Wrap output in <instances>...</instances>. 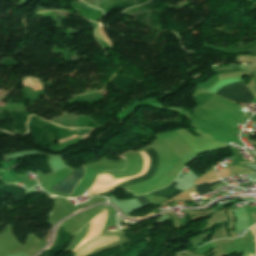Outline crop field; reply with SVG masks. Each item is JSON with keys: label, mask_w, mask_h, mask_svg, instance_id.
I'll return each instance as SVG.
<instances>
[{"label": "crop field", "mask_w": 256, "mask_h": 256, "mask_svg": "<svg viewBox=\"0 0 256 256\" xmlns=\"http://www.w3.org/2000/svg\"><path fill=\"white\" fill-rule=\"evenodd\" d=\"M83 174L84 168L77 169L71 175H69L67 178L61 181L59 184H57L56 186L54 185L55 187L51 189L69 195L70 192L73 190L74 186L83 177Z\"/></svg>", "instance_id": "crop-field-3"}, {"label": "crop field", "mask_w": 256, "mask_h": 256, "mask_svg": "<svg viewBox=\"0 0 256 256\" xmlns=\"http://www.w3.org/2000/svg\"><path fill=\"white\" fill-rule=\"evenodd\" d=\"M137 197V196H136ZM143 207L150 206V203L145 197H137Z\"/></svg>", "instance_id": "crop-field-6"}, {"label": "crop field", "mask_w": 256, "mask_h": 256, "mask_svg": "<svg viewBox=\"0 0 256 256\" xmlns=\"http://www.w3.org/2000/svg\"><path fill=\"white\" fill-rule=\"evenodd\" d=\"M249 163H251V162H245V163H240V164H249Z\"/></svg>", "instance_id": "crop-field-10"}, {"label": "crop field", "mask_w": 256, "mask_h": 256, "mask_svg": "<svg viewBox=\"0 0 256 256\" xmlns=\"http://www.w3.org/2000/svg\"><path fill=\"white\" fill-rule=\"evenodd\" d=\"M36 81H38V80L34 78L32 84H31L32 87L35 85Z\"/></svg>", "instance_id": "crop-field-9"}, {"label": "crop field", "mask_w": 256, "mask_h": 256, "mask_svg": "<svg viewBox=\"0 0 256 256\" xmlns=\"http://www.w3.org/2000/svg\"><path fill=\"white\" fill-rule=\"evenodd\" d=\"M101 30H102V32H103V34H104V36L106 37V39L108 40V42H109V44H110L111 49H113V44H112L111 40L107 37V35H106V31H105L104 27H101Z\"/></svg>", "instance_id": "crop-field-7"}, {"label": "crop field", "mask_w": 256, "mask_h": 256, "mask_svg": "<svg viewBox=\"0 0 256 256\" xmlns=\"http://www.w3.org/2000/svg\"><path fill=\"white\" fill-rule=\"evenodd\" d=\"M176 184H177L176 182H173L169 187L162 189L160 191L154 192L152 194L162 196V197H171L181 191L174 187Z\"/></svg>", "instance_id": "crop-field-4"}, {"label": "crop field", "mask_w": 256, "mask_h": 256, "mask_svg": "<svg viewBox=\"0 0 256 256\" xmlns=\"http://www.w3.org/2000/svg\"><path fill=\"white\" fill-rule=\"evenodd\" d=\"M216 94L221 95L239 104H241L242 102L245 104L250 100L254 99L253 95L250 93V91L247 89L242 81L227 85L220 89L218 92H216Z\"/></svg>", "instance_id": "crop-field-1"}, {"label": "crop field", "mask_w": 256, "mask_h": 256, "mask_svg": "<svg viewBox=\"0 0 256 256\" xmlns=\"http://www.w3.org/2000/svg\"><path fill=\"white\" fill-rule=\"evenodd\" d=\"M145 152L149 156V167H148L147 172L142 177H140L138 179H134V180H131V181L116 184V186L112 189L123 188V187H126V186H131V185H135V184H138V183L145 182V181L149 180L150 178H152L156 174V172L158 170V156H157V153H156L155 150H153L151 148L145 150ZM88 194H91V193L88 192Z\"/></svg>", "instance_id": "crop-field-2"}, {"label": "crop field", "mask_w": 256, "mask_h": 256, "mask_svg": "<svg viewBox=\"0 0 256 256\" xmlns=\"http://www.w3.org/2000/svg\"><path fill=\"white\" fill-rule=\"evenodd\" d=\"M247 53H251V54L256 55V47H254L251 50L247 51Z\"/></svg>", "instance_id": "crop-field-8"}, {"label": "crop field", "mask_w": 256, "mask_h": 256, "mask_svg": "<svg viewBox=\"0 0 256 256\" xmlns=\"http://www.w3.org/2000/svg\"><path fill=\"white\" fill-rule=\"evenodd\" d=\"M218 183H224V182H222L219 179H217V180H215L213 182L210 181V182H207V183H204V184L197 185V186H195V188H196L197 192H199L201 190H204V189H207L209 187H212V186H214V185H216Z\"/></svg>", "instance_id": "crop-field-5"}]
</instances>
